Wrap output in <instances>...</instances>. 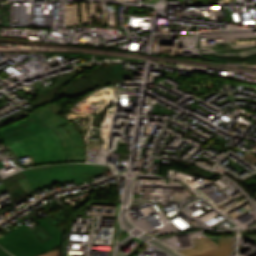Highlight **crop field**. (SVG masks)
I'll use <instances>...</instances> for the list:
<instances>
[{
	"label": "crop field",
	"instance_id": "crop-field-1",
	"mask_svg": "<svg viewBox=\"0 0 256 256\" xmlns=\"http://www.w3.org/2000/svg\"><path fill=\"white\" fill-rule=\"evenodd\" d=\"M54 102L36 108L26 118L0 128L3 142L15 159L31 155L37 165L86 162V147L77 129L57 113Z\"/></svg>",
	"mask_w": 256,
	"mask_h": 256
},
{
	"label": "crop field",
	"instance_id": "crop-field-2",
	"mask_svg": "<svg viewBox=\"0 0 256 256\" xmlns=\"http://www.w3.org/2000/svg\"><path fill=\"white\" fill-rule=\"evenodd\" d=\"M36 221L52 238L41 243L26 224H23L3 239H0V245L14 256L40 255L57 245H62L64 237L62 232L43 218Z\"/></svg>",
	"mask_w": 256,
	"mask_h": 256
},
{
	"label": "crop field",
	"instance_id": "crop-field-3",
	"mask_svg": "<svg viewBox=\"0 0 256 256\" xmlns=\"http://www.w3.org/2000/svg\"><path fill=\"white\" fill-rule=\"evenodd\" d=\"M23 173L33 192L50 184L75 180L76 184H83L81 179L88 178V174H72L71 164L41 167L23 170Z\"/></svg>",
	"mask_w": 256,
	"mask_h": 256
},
{
	"label": "crop field",
	"instance_id": "crop-field-4",
	"mask_svg": "<svg viewBox=\"0 0 256 256\" xmlns=\"http://www.w3.org/2000/svg\"><path fill=\"white\" fill-rule=\"evenodd\" d=\"M126 73H128V70H122L120 65L115 64L95 71L87 80L79 75L76 79L59 90L57 96L60 98L65 96H78L91 90L94 86L105 85L109 83L113 77H122Z\"/></svg>",
	"mask_w": 256,
	"mask_h": 256
},
{
	"label": "crop field",
	"instance_id": "crop-field-5",
	"mask_svg": "<svg viewBox=\"0 0 256 256\" xmlns=\"http://www.w3.org/2000/svg\"><path fill=\"white\" fill-rule=\"evenodd\" d=\"M197 248L181 250L187 256H227L231 253L232 238L194 240Z\"/></svg>",
	"mask_w": 256,
	"mask_h": 256
},
{
	"label": "crop field",
	"instance_id": "crop-field-6",
	"mask_svg": "<svg viewBox=\"0 0 256 256\" xmlns=\"http://www.w3.org/2000/svg\"><path fill=\"white\" fill-rule=\"evenodd\" d=\"M106 167L104 165L72 164L73 173H89V175L97 173Z\"/></svg>",
	"mask_w": 256,
	"mask_h": 256
},
{
	"label": "crop field",
	"instance_id": "crop-field-7",
	"mask_svg": "<svg viewBox=\"0 0 256 256\" xmlns=\"http://www.w3.org/2000/svg\"><path fill=\"white\" fill-rule=\"evenodd\" d=\"M61 250H62V246L59 247V249L57 251H50V252H47L43 255H40V256H61Z\"/></svg>",
	"mask_w": 256,
	"mask_h": 256
},
{
	"label": "crop field",
	"instance_id": "crop-field-8",
	"mask_svg": "<svg viewBox=\"0 0 256 256\" xmlns=\"http://www.w3.org/2000/svg\"><path fill=\"white\" fill-rule=\"evenodd\" d=\"M0 256H10L5 250L0 247Z\"/></svg>",
	"mask_w": 256,
	"mask_h": 256
}]
</instances>
